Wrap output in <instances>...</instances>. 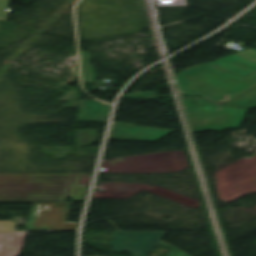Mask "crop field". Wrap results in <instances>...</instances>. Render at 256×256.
<instances>
[{
	"mask_svg": "<svg viewBox=\"0 0 256 256\" xmlns=\"http://www.w3.org/2000/svg\"><path fill=\"white\" fill-rule=\"evenodd\" d=\"M177 75L185 95H200L209 101L225 103L256 87V51H239ZM224 96L228 97L222 99Z\"/></svg>",
	"mask_w": 256,
	"mask_h": 256,
	"instance_id": "crop-field-1",
	"label": "crop field"
},
{
	"mask_svg": "<svg viewBox=\"0 0 256 256\" xmlns=\"http://www.w3.org/2000/svg\"><path fill=\"white\" fill-rule=\"evenodd\" d=\"M98 142V131L76 130V148Z\"/></svg>",
	"mask_w": 256,
	"mask_h": 256,
	"instance_id": "crop-field-8",
	"label": "crop field"
},
{
	"mask_svg": "<svg viewBox=\"0 0 256 256\" xmlns=\"http://www.w3.org/2000/svg\"><path fill=\"white\" fill-rule=\"evenodd\" d=\"M155 95L154 92H136L133 94L125 95L122 98H145V99H152Z\"/></svg>",
	"mask_w": 256,
	"mask_h": 256,
	"instance_id": "crop-field-12",
	"label": "crop field"
},
{
	"mask_svg": "<svg viewBox=\"0 0 256 256\" xmlns=\"http://www.w3.org/2000/svg\"><path fill=\"white\" fill-rule=\"evenodd\" d=\"M168 232H113L108 242L114 245V252L129 250L134 256H148L159 243L171 248L172 245L162 241Z\"/></svg>",
	"mask_w": 256,
	"mask_h": 256,
	"instance_id": "crop-field-3",
	"label": "crop field"
},
{
	"mask_svg": "<svg viewBox=\"0 0 256 256\" xmlns=\"http://www.w3.org/2000/svg\"><path fill=\"white\" fill-rule=\"evenodd\" d=\"M226 105L255 108L256 107V89L250 91L249 93L241 96L240 98Z\"/></svg>",
	"mask_w": 256,
	"mask_h": 256,
	"instance_id": "crop-field-10",
	"label": "crop field"
},
{
	"mask_svg": "<svg viewBox=\"0 0 256 256\" xmlns=\"http://www.w3.org/2000/svg\"><path fill=\"white\" fill-rule=\"evenodd\" d=\"M24 239L17 233H0V256H19Z\"/></svg>",
	"mask_w": 256,
	"mask_h": 256,
	"instance_id": "crop-field-7",
	"label": "crop field"
},
{
	"mask_svg": "<svg viewBox=\"0 0 256 256\" xmlns=\"http://www.w3.org/2000/svg\"><path fill=\"white\" fill-rule=\"evenodd\" d=\"M84 82H94L96 79L95 66H91L89 52H81Z\"/></svg>",
	"mask_w": 256,
	"mask_h": 256,
	"instance_id": "crop-field-9",
	"label": "crop field"
},
{
	"mask_svg": "<svg viewBox=\"0 0 256 256\" xmlns=\"http://www.w3.org/2000/svg\"><path fill=\"white\" fill-rule=\"evenodd\" d=\"M171 132L173 130L114 123L110 139L157 141Z\"/></svg>",
	"mask_w": 256,
	"mask_h": 256,
	"instance_id": "crop-field-5",
	"label": "crop field"
},
{
	"mask_svg": "<svg viewBox=\"0 0 256 256\" xmlns=\"http://www.w3.org/2000/svg\"><path fill=\"white\" fill-rule=\"evenodd\" d=\"M5 1L6 0H0V16H1V13H2V10H3L4 4H5Z\"/></svg>",
	"mask_w": 256,
	"mask_h": 256,
	"instance_id": "crop-field-14",
	"label": "crop field"
},
{
	"mask_svg": "<svg viewBox=\"0 0 256 256\" xmlns=\"http://www.w3.org/2000/svg\"><path fill=\"white\" fill-rule=\"evenodd\" d=\"M56 203H34L27 228L37 231L77 230L78 224H66L71 208Z\"/></svg>",
	"mask_w": 256,
	"mask_h": 256,
	"instance_id": "crop-field-4",
	"label": "crop field"
},
{
	"mask_svg": "<svg viewBox=\"0 0 256 256\" xmlns=\"http://www.w3.org/2000/svg\"><path fill=\"white\" fill-rule=\"evenodd\" d=\"M80 107L78 121L106 122L111 106L96 101H80Z\"/></svg>",
	"mask_w": 256,
	"mask_h": 256,
	"instance_id": "crop-field-6",
	"label": "crop field"
},
{
	"mask_svg": "<svg viewBox=\"0 0 256 256\" xmlns=\"http://www.w3.org/2000/svg\"><path fill=\"white\" fill-rule=\"evenodd\" d=\"M20 221H0V232H17Z\"/></svg>",
	"mask_w": 256,
	"mask_h": 256,
	"instance_id": "crop-field-11",
	"label": "crop field"
},
{
	"mask_svg": "<svg viewBox=\"0 0 256 256\" xmlns=\"http://www.w3.org/2000/svg\"><path fill=\"white\" fill-rule=\"evenodd\" d=\"M196 106H192V97H184L192 131L221 132L228 128H239L248 109L222 106L218 103L206 102L198 97L194 98Z\"/></svg>",
	"mask_w": 256,
	"mask_h": 256,
	"instance_id": "crop-field-2",
	"label": "crop field"
},
{
	"mask_svg": "<svg viewBox=\"0 0 256 256\" xmlns=\"http://www.w3.org/2000/svg\"><path fill=\"white\" fill-rule=\"evenodd\" d=\"M167 256H190V255L172 246Z\"/></svg>",
	"mask_w": 256,
	"mask_h": 256,
	"instance_id": "crop-field-13",
	"label": "crop field"
}]
</instances>
